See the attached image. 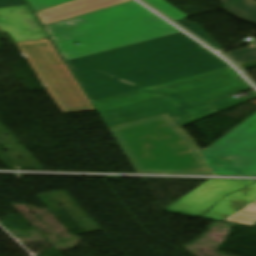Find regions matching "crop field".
<instances>
[{
    "mask_svg": "<svg viewBox=\"0 0 256 256\" xmlns=\"http://www.w3.org/2000/svg\"><path fill=\"white\" fill-rule=\"evenodd\" d=\"M224 221L253 226L256 222V201Z\"/></svg>",
    "mask_w": 256,
    "mask_h": 256,
    "instance_id": "12",
    "label": "crop field"
},
{
    "mask_svg": "<svg viewBox=\"0 0 256 256\" xmlns=\"http://www.w3.org/2000/svg\"><path fill=\"white\" fill-rule=\"evenodd\" d=\"M144 1L147 2L148 4L152 5L153 7H155L158 10L163 9L168 6H171L164 0H144Z\"/></svg>",
    "mask_w": 256,
    "mask_h": 256,
    "instance_id": "18",
    "label": "crop field"
},
{
    "mask_svg": "<svg viewBox=\"0 0 256 256\" xmlns=\"http://www.w3.org/2000/svg\"><path fill=\"white\" fill-rule=\"evenodd\" d=\"M179 24L183 25L187 29H189L191 32L202 38L204 41L209 43L210 45L214 46L215 48L221 50L224 47L219 45L216 41H214L210 36H208L196 23H190L184 19L176 21Z\"/></svg>",
    "mask_w": 256,
    "mask_h": 256,
    "instance_id": "14",
    "label": "crop field"
},
{
    "mask_svg": "<svg viewBox=\"0 0 256 256\" xmlns=\"http://www.w3.org/2000/svg\"><path fill=\"white\" fill-rule=\"evenodd\" d=\"M25 4L24 0H0V7L15 6Z\"/></svg>",
    "mask_w": 256,
    "mask_h": 256,
    "instance_id": "19",
    "label": "crop field"
},
{
    "mask_svg": "<svg viewBox=\"0 0 256 256\" xmlns=\"http://www.w3.org/2000/svg\"><path fill=\"white\" fill-rule=\"evenodd\" d=\"M226 55H228L238 64L256 60V41L250 42V47L247 49L227 53Z\"/></svg>",
    "mask_w": 256,
    "mask_h": 256,
    "instance_id": "13",
    "label": "crop field"
},
{
    "mask_svg": "<svg viewBox=\"0 0 256 256\" xmlns=\"http://www.w3.org/2000/svg\"><path fill=\"white\" fill-rule=\"evenodd\" d=\"M255 96L250 97V98H244V99H236V98H225V99H221V100H217V101H213V102H209L212 106H214L216 109H218L219 111H223L226 110L228 108L234 107L236 105L242 104L244 102L250 101L252 99L256 98V92L253 91L252 92Z\"/></svg>",
    "mask_w": 256,
    "mask_h": 256,
    "instance_id": "15",
    "label": "crop field"
},
{
    "mask_svg": "<svg viewBox=\"0 0 256 256\" xmlns=\"http://www.w3.org/2000/svg\"><path fill=\"white\" fill-rule=\"evenodd\" d=\"M175 33L179 32L149 13L54 40V43L68 61Z\"/></svg>",
    "mask_w": 256,
    "mask_h": 256,
    "instance_id": "4",
    "label": "crop field"
},
{
    "mask_svg": "<svg viewBox=\"0 0 256 256\" xmlns=\"http://www.w3.org/2000/svg\"><path fill=\"white\" fill-rule=\"evenodd\" d=\"M132 0H74L36 12L42 26L95 12Z\"/></svg>",
    "mask_w": 256,
    "mask_h": 256,
    "instance_id": "9",
    "label": "crop field"
},
{
    "mask_svg": "<svg viewBox=\"0 0 256 256\" xmlns=\"http://www.w3.org/2000/svg\"><path fill=\"white\" fill-rule=\"evenodd\" d=\"M255 182L256 181L210 179L165 211L201 217L205 211L227 194Z\"/></svg>",
    "mask_w": 256,
    "mask_h": 256,
    "instance_id": "6",
    "label": "crop field"
},
{
    "mask_svg": "<svg viewBox=\"0 0 256 256\" xmlns=\"http://www.w3.org/2000/svg\"><path fill=\"white\" fill-rule=\"evenodd\" d=\"M237 77L239 75L228 67L92 103L107 128L165 113L182 127L219 112L207 102L251 90ZM187 116L191 117L183 119Z\"/></svg>",
    "mask_w": 256,
    "mask_h": 256,
    "instance_id": "3",
    "label": "crop field"
},
{
    "mask_svg": "<svg viewBox=\"0 0 256 256\" xmlns=\"http://www.w3.org/2000/svg\"><path fill=\"white\" fill-rule=\"evenodd\" d=\"M254 200H256V184L229 194L204 213L202 217L213 220H224L238 212L237 208H242ZM234 201L239 203L233 204Z\"/></svg>",
    "mask_w": 256,
    "mask_h": 256,
    "instance_id": "10",
    "label": "crop field"
},
{
    "mask_svg": "<svg viewBox=\"0 0 256 256\" xmlns=\"http://www.w3.org/2000/svg\"><path fill=\"white\" fill-rule=\"evenodd\" d=\"M162 13H164L165 15L169 16L170 18H172L173 20H178V19H182L187 17L185 14H183L181 11H179L178 9H176L175 7L171 6L168 8H165L163 10H160Z\"/></svg>",
    "mask_w": 256,
    "mask_h": 256,
    "instance_id": "17",
    "label": "crop field"
},
{
    "mask_svg": "<svg viewBox=\"0 0 256 256\" xmlns=\"http://www.w3.org/2000/svg\"><path fill=\"white\" fill-rule=\"evenodd\" d=\"M145 13L149 12L132 1L88 15L44 26V29L52 40H54ZM57 28H61L62 30L58 31Z\"/></svg>",
    "mask_w": 256,
    "mask_h": 256,
    "instance_id": "7",
    "label": "crop field"
},
{
    "mask_svg": "<svg viewBox=\"0 0 256 256\" xmlns=\"http://www.w3.org/2000/svg\"><path fill=\"white\" fill-rule=\"evenodd\" d=\"M34 12L71 0H27Z\"/></svg>",
    "mask_w": 256,
    "mask_h": 256,
    "instance_id": "16",
    "label": "crop field"
},
{
    "mask_svg": "<svg viewBox=\"0 0 256 256\" xmlns=\"http://www.w3.org/2000/svg\"><path fill=\"white\" fill-rule=\"evenodd\" d=\"M222 5L232 15L256 23V1L222 0Z\"/></svg>",
    "mask_w": 256,
    "mask_h": 256,
    "instance_id": "11",
    "label": "crop field"
},
{
    "mask_svg": "<svg viewBox=\"0 0 256 256\" xmlns=\"http://www.w3.org/2000/svg\"><path fill=\"white\" fill-rule=\"evenodd\" d=\"M67 64L90 100L228 67L181 33Z\"/></svg>",
    "mask_w": 256,
    "mask_h": 256,
    "instance_id": "2",
    "label": "crop field"
},
{
    "mask_svg": "<svg viewBox=\"0 0 256 256\" xmlns=\"http://www.w3.org/2000/svg\"><path fill=\"white\" fill-rule=\"evenodd\" d=\"M110 131L136 173L256 176V113L201 151L167 114Z\"/></svg>",
    "mask_w": 256,
    "mask_h": 256,
    "instance_id": "1",
    "label": "crop field"
},
{
    "mask_svg": "<svg viewBox=\"0 0 256 256\" xmlns=\"http://www.w3.org/2000/svg\"><path fill=\"white\" fill-rule=\"evenodd\" d=\"M14 45L27 58L38 79L63 113L95 110L49 39Z\"/></svg>",
    "mask_w": 256,
    "mask_h": 256,
    "instance_id": "5",
    "label": "crop field"
},
{
    "mask_svg": "<svg viewBox=\"0 0 256 256\" xmlns=\"http://www.w3.org/2000/svg\"><path fill=\"white\" fill-rule=\"evenodd\" d=\"M0 29L15 43L47 38L28 5L0 8Z\"/></svg>",
    "mask_w": 256,
    "mask_h": 256,
    "instance_id": "8",
    "label": "crop field"
}]
</instances>
